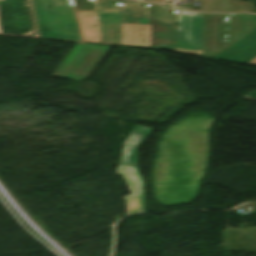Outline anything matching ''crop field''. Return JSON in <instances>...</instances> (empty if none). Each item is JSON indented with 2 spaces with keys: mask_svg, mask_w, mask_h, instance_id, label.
<instances>
[{
  "mask_svg": "<svg viewBox=\"0 0 256 256\" xmlns=\"http://www.w3.org/2000/svg\"><path fill=\"white\" fill-rule=\"evenodd\" d=\"M39 36L82 41L72 0H31Z\"/></svg>",
  "mask_w": 256,
  "mask_h": 256,
  "instance_id": "1",
  "label": "crop field"
},
{
  "mask_svg": "<svg viewBox=\"0 0 256 256\" xmlns=\"http://www.w3.org/2000/svg\"><path fill=\"white\" fill-rule=\"evenodd\" d=\"M152 128L137 125L125 140L117 174L123 176L131 195L126 196L128 214L145 212L143 180L137 169V147Z\"/></svg>",
  "mask_w": 256,
  "mask_h": 256,
  "instance_id": "2",
  "label": "crop field"
},
{
  "mask_svg": "<svg viewBox=\"0 0 256 256\" xmlns=\"http://www.w3.org/2000/svg\"><path fill=\"white\" fill-rule=\"evenodd\" d=\"M110 47L78 43L53 76L72 80L87 79Z\"/></svg>",
  "mask_w": 256,
  "mask_h": 256,
  "instance_id": "3",
  "label": "crop field"
},
{
  "mask_svg": "<svg viewBox=\"0 0 256 256\" xmlns=\"http://www.w3.org/2000/svg\"><path fill=\"white\" fill-rule=\"evenodd\" d=\"M211 58L256 66V27Z\"/></svg>",
  "mask_w": 256,
  "mask_h": 256,
  "instance_id": "4",
  "label": "crop field"
}]
</instances>
